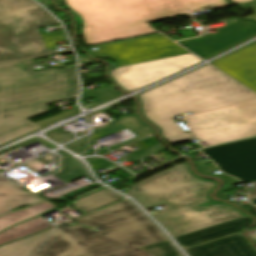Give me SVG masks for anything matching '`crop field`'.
Here are the masks:
<instances>
[{"label":"crop field","instance_id":"1","mask_svg":"<svg viewBox=\"0 0 256 256\" xmlns=\"http://www.w3.org/2000/svg\"><path fill=\"white\" fill-rule=\"evenodd\" d=\"M74 221L101 230L56 225L32 256H151L138 247L165 240L127 200Z\"/></svg>","mask_w":256,"mask_h":256},{"label":"crop field","instance_id":"2","mask_svg":"<svg viewBox=\"0 0 256 256\" xmlns=\"http://www.w3.org/2000/svg\"><path fill=\"white\" fill-rule=\"evenodd\" d=\"M143 114L171 143L188 140L190 133L173 121L174 115L195 113L256 100V95L209 65L150 89L138 96Z\"/></svg>","mask_w":256,"mask_h":256},{"label":"crop field","instance_id":"3","mask_svg":"<svg viewBox=\"0 0 256 256\" xmlns=\"http://www.w3.org/2000/svg\"><path fill=\"white\" fill-rule=\"evenodd\" d=\"M213 185L191 176L182 163L138 182L125 194L145 209L163 205L164 211L153 217L174 237L244 216L226 205L199 207L208 201L205 194Z\"/></svg>","mask_w":256,"mask_h":256},{"label":"crop field","instance_id":"4","mask_svg":"<svg viewBox=\"0 0 256 256\" xmlns=\"http://www.w3.org/2000/svg\"><path fill=\"white\" fill-rule=\"evenodd\" d=\"M29 61L0 65V113L42 105L78 94L75 67L35 72Z\"/></svg>","mask_w":256,"mask_h":256},{"label":"crop field","instance_id":"5","mask_svg":"<svg viewBox=\"0 0 256 256\" xmlns=\"http://www.w3.org/2000/svg\"><path fill=\"white\" fill-rule=\"evenodd\" d=\"M56 23L31 0H0V62L45 54L37 27Z\"/></svg>","mask_w":256,"mask_h":256},{"label":"crop field","instance_id":"6","mask_svg":"<svg viewBox=\"0 0 256 256\" xmlns=\"http://www.w3.org/2000/svg\"><path fill=\"white\" fill-rule=\"evenodd\" d=\"M197 139L208 146L256 135V101L187 117Z\"/></svg>","mask_w":256,"mask_h":256},{"label":"crop field","instance_id":"7","mask_svg":"<svg viewBox=\"0 0 256 256\" xmlns=\"http://www.w3.org/2000/svg\"><path fill=\"white\" fill-rule=\"evenodd\" d=\"M83 21V34L153 21L141 0H65Z\"/></svg>","mask_w":256,"mask_h":256},{"label":"crop field","instance_id":"8","mask_svg":"<svg viewBox=\"0 0 256 256\" xmlns=\"http://www.w3.org/2000/svg\"><path fill=\"white\" fill-rule=\"evenodd\" d=\"M97 48L99 50L90 53L97 58L112 59L118 66L188 52L160 34L98 46Z\"/></svg>","mask_w":256,"mask_h":256},{"label":"crop field","instance_id":"9","mask_svg":"<svg viewBox=\"0 0 256 256\" xmlns=\"http://www.w3.org/2000/svg\"><path fill=\"white\" fill-rule=\"evenodd\" d=\"M201 60L190 53L118 67L111 71L113 78L124 89H139Z\"/></svg>","mask_w":256,"mask_h":256},{"label":"crop field","instance_id":"10","mask_svg":"<svg viewBox=\"0 0 256 256\" xmlns=\"http://www.w3.org/2000/svg\"><path fill=\"white\" fill-rule=\"evenodd\" d=\"M218 168L243 182L256 181V137L201 150Z\"/></svg>","mask_w":256,"mask_h":256},{"label":"crop field","instance_id":"11","mask_svg":"<svg viewBox=\"0 0 256 256\" xmlns=\"http://www.w3.org/2000/svg\"><path fill=\"white\" fill-rule=\"evenodd\" d=\"M216 33L195 39L178 41L202 59L230 48L256 34V24L232 22L224 27L215 28Z\"/></svg>","mask_w":256,"mask_h":256},{"label":"crop field","instance_id":"12","mask_svg":"<svg viewBox=\"0 0 256 256\" xmlns=\"http://www.w3.org/2000/svg\"><path fill=\"white\" fill-rule=\"evenodd\" d=\"M211 64L256 92V42Z\"/></svg>","mask_w":256,"mask_h":256},{"label":"crop field","instance_id":"13","mask_svg":"<svg viewBox=\"0 0 256 256\" xmlns=\"http://www.w3.org/2000/svg\"><path fill=\"white\" fill-rule=\"evenodd\" d=\"M189 256H256L251 243L240 233L185 249Z\"/></svg>","mask_w":256,"mask_h":256},{"label":"crop field","instance_id":"14","mask_svg":"<svg viewBox=\"0 0 256 256\" xmlns=\"http://www.w3.org/2000/svg\"><path fill=\"white\" fill-rule=\"evenodd\" d=\"M49 110L46 105H42L0 114V144L39 128L25 118Z\"/></svg>","mask_w":256,"mask_h":256},{"label":"crop field","instance_id":"15","mask_svg":"<svg viewBox=\"0 0 256 256\" xmlns=\"http://www.w3.org/2000/svg\"><path fill=\"white\" fill-rule=\"evenodd\" d=\"M252 223V220L243 217L196 232L174 237V240L179 244L182 249H184L207 240L215 239L241 231L242 229L250 226Z\"/></svg>","mask_w":256,"mask_h":256},{"label":"crop field","instance_id":"16","mask_svg":"<svg viewBox=\"0 0 256 256\" xmlns=\"http://www.w3.org/2000/svg\"><path fill=\"white\" fill-rule=\"evenodd\" d=\"M42 200L36 194L24 192L21 187L0 176V215L22 204L33 205Z\"/></svg>","mask_w":256,"mask_h":256},{"label":"crop field","instance_id":"17","mask_svg":"<svg viewBox=\"0 0 256 256\" xmlns=\"http://www.w3.org/2000/svg\"><path fill=\"white\" fill-rule=\"evenodd\" d=\"M156 33L155 30L151 29L148 25V23L104 31L100 33H95L91 35L84 36L85 41L88 46L120 40V39H126L146 34Z\"/></svg>","mask_w":256,"mask_h":256},{"label":"crop field","instance_id":"18","mask_svg":"<svg viewBox=\"0 0 256 256\" xmlns=\"http://www.w3.org/2000/svg\"><path fill=\"white\" fill-rule=\"evenodd\" d=\"M155 20L186 14L192 10L182 0H142ZM190 13V12H189Z\"/></svg>","mask_w":256,"mask_h":256},{"label":"crop field","instance_id":"19","mask_svg":"<svg viewBox=\"0 0 256 256\" xmlns=\"http://www.w3.org/2000/svg\"><path fill=\"white\" fill-rule=\"evenodd\" d=\"M50 226H52V224H50L49 222L45 221L40 217L30 221L23 222L1 233L0 244L17 238L31 235Z\"/></svg>","mask_w":256,"mask_h":256},{"label":"crop field","instance_id":"20","mask_svg":"<svg viewBox=\"0 0 256 256\" xmlns=\"http://www.w3.org/2000/svg\"><path fill=\"white\" fill-rule=\"evenodd\" d=\"M49 230L0 246V256H29Z\"/></svg>","mask_w":256,"mask_h":256},{"label":"crop field","instance_id":"21","mask_svg":"<svg viewBox=\"0 0 256 256\" xmlns=\"http://www.w3.org/2000/svg\"><path fill=\"white\" fill-rule=\"evenodd\" d=\"M120 199L122 198L119 197L118 195L108 190L101 189L88 196L77 199V201L73 203L72 207H74L75 209H79L84 213H87L96 208H99L101 206H104L106 204L112 203Z\"/></svg>","mask_w":256,"mask_h":256},{"label":"crop field","instance_id":"22","mask_svg":"<svg viewBox=\"0 0 256 256\" xmlns=\"http://www.w3.org/2000/svg\"><path fill=\"white\" fill-rule=\"evenodd\" d=\"M53 207H55V205L48 201H45L29 209L2 216L0 217V231L27 218L45 212Z\"/></svg>","mask_w":256,"mask_h":256},{"label":"crop field","instance_id":"23","mask_svg":"<svg viewBox=\"0 0 256 256\" xmlns=\"http://www.w3.org/2000/svg\"><path fill=\"white\" fill-rule=\"evenodd\" d=\"M122 94L118 93L117 91L113 90L111 86L108 87H104V88H100V89H96V90H92V91H88V92H84L81 96L80 100H84L88 97H95V102L87 105L84 103H81L80 105L83 106V108L85 109H90L94 106H97L101 103H104L106 101L112 100L114 98H117L119 96H121Z\"/></svg>","mask_w":256,"mask_h":256},{"label":"crop field","instance_id":"24","mask_svg":"<svg viewBox=\"0 0 256 256\" xmlns=\"http://www.w3.org/2000/svg\"><path fill=\"white\" fill-rule=\"evenodd\" d=\"M140 249L154 256H180L179 252L177 253L167 240L141 247Z\"/></svg>","mask_w":256,"mask_h":256},{"label":"crop field","instance_id":"25","mask_svg":"<svg viewBox=\"0 0 256 256\" xmlns=\"http://www.w3.org/2000/svg\"><path fill=\"white\" fill-rule=\"evenodd\" d=\"M193 11L204 5H212L216 8L228 6L226 0H183Z\"/></svg>","mask_w":256,"mask_h":256},{"label":"crop field","instance_id":"26","mask_svg":"<svg viewBox=\"0 0 256 256\" xmlns=\"http://www.w3.org/2000/svg\"><path fill=\"white\" fill-rule=\"evenodd\" d=\"M198 170L202 174L214 175L212 172L216 171L217 169L215 168V166L213 164H210V165L200 166V167H198ZM216 176H220L222 178L227 179L229 181L228 186L240 183L237 179L228 177L225 174H217Z\"/></svg>","mask_w":256,"mask_h":256},{"label":"crop field","instance_id":"27","mask_svg":"<svg viewBox=\"0 0 256 256\" xmlns=\"http://www.w3.org/2000/svg\"><path fill=\"white\" fill-rule=\"evenodd\" d=\"M78 110L79 108H74V109H71V110H68L66 112H63V113H60V114H57L55 116H52V117H49V118H46L44 120H41L37 123H35L36 125L42 127V126H45L47 124H49L50 122L54 121V120H57V119H61L63 117H66L68 115H71V114H75V113H78Z\"/></svg>","mask_w":256,"mask_h":256},{"label":"crop field","instance_id":"28","mask_svg":"<svg viewBox=\"0 0 256 256\" xmlns=\"http://www.w3.org/2000/svg\"><path fill=\"white\" fill-rule=\"evenodd\" d=\"M228 189H234V186L223 187L219 192L216 193V196L218 198L227 200L228 196L237 194V193H227V192H225Z\"/></svg>","mask_w":256,"mask_h":256},{"label":"crop field","instance_id":"29","mask_svg":"<svg viewBox=\"0 0 256 256\" xmlns=\"http://www.w3.org/2000/svg\"><path fill=\"white\" fill-rule=\"evenodd\" d=\"M255 184H256V182H255ZM253 187H254V189L247 191L250 200L256 199V185Z\"/></svg>","mask_w":256,"mask_h":256},{"label":"crop field","instance_id":"30","mask_svg":"<svg viewBox=\"0 0 256 256\" xmlns=\"http://www.w3.org/2000/svg\"><path fill=\"white\" fill-rule=\"evenodd\" d=\"M231 1L233 2V5H235V4L253 2V1H255V0H231Z\"/></svg>","mask_w":256,"mask_h":256},{"label":"crop field","instance_id":"31","mask_svg":"<svg viewBox=\"0 0 256 256\" xmlns=\"http://www.w3.org/2000/svg\"><path fill=\"white\" fill-rule=\"evenodd\" d=\"M181 33H182V35H183L184 37H188V36H193V35H195L194 33H192L191 30L184 31V32H181ZM184 37H183V38H184Z\"/></svg>","mask_w":256,"mask_h":256},{"label":"crop field","instance_id":"32","mask_svg":"<svg viewBox=\"0 0 256 256\" xmlns=\"http://www.w3.org/2000/svg\"><path fill=\"white\" fill-rule=\"evenodd\" d=\"M256 3V2H255ZM242 20L244 19H250V20H253L256 22V14H253V15H250V16H247V17H244V18H241Z\"/></svg>","mask_w":256,"mask_h":256},{"label":"crop field","instance_id":"33","mask_svg":"<svg viewBox=\"0 0 256 256\" xmlns=\"http://www.w3.org/2000/svg\"><path fill=\"white\" fill-rule=\"evenodd\" d=\"M251 202L256 206V200H252Z\"/></svg>","mask_w":256,"mask_h":256}]
</instances>
